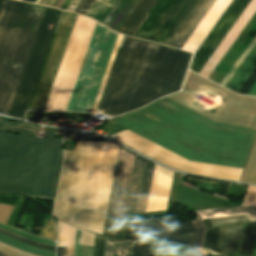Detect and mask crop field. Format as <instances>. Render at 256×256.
Returning a JSON list of instances; mask_svg holds the SVG:
<instances>
[{
	"label": "crop field",
	"mask_w": 256,
	"mask_h": 256,
	"mask_svg": "<svg viewBox=\"0 0 256 256\" xmlns=\"http://www.w3.org/2000/svg\"><path fill=\"white\" fill-rule=\"evenodd\" d=\"M109 121L189 160L241 169L256 134L215 124L165 98Z\"/></svg>",
	"instance_id": "obj_1"
},
{
	"label": "crop field",
	"mask_w": 256,
	"mask_h": 256,
	"mask_svg": "<svg viewBox=\"0 0 256 256\" xmlns=\"http://www.w3.org/2000/svg\"><path fill=\"white\" fill-rule=\"evenodd\" d=\"M190 56L125 36L99 109L119 115L177 92Z\"/></svg>",
	"instance_id": "obj_2"
},
{
	"label": "crop field",
	"mask_w": 256,
	"mask_h": 256,
	"mask_svg": "<svg viewBox=\"0 0 256 256\" xmlns=\"http://www.w3.org/2000/svg\"><path fill=\"white\" fill-rule=\"evenodd\" d=\"M37 125L0 121V130L32 136ZM61 155L60 138L47 130L45 139L0 131V193L53 198Z\"/></svg>",
	"instance_id": "obj_3"
},
{
	"label": "crop field",
	"mask_w": 256,
	"mask_h": 256,
	"mask_svg": "<svg viewBox=\"0 0 256 256\" xmlns=\"http://www.w3.org/2000/svg\"><path fill=\"white\" fill-rule=\"evenodd\" d=\"M44 8L3 0L0 9V113L8 114Z\"/></svg>",
	"instance_id": "obj_4"
},
{
	"label": "crop field",
	"mask_w": 256,
	"mask_h": 256,
	"mask_svg": "<svg viewBox=\"0 0 256 256\" xmlns=\"http://www.w3.org/2000/svg\"><path fill=\"white\" fill-rule=\"evenodd\" d=\"M134 153L121 147L103 235L118 236ZM146 160L135 155L119 236L125 213H135ZM156 165L147 161L136 213L146 212Z\"/></svg>",
	"instance_id": "obj_5"
},
{
	"label": "crop field",
	"mask_w": 256,
	"mask_h": 256,
	"mask_svg": "<svg viewBox=\"0 0 256 256\" xmlns=\"http://www.w3.org/2000/svg\"><path fill=\"white\" fill-rule=\"evenodd\" d=\"M95 23L77 16L44 111H65Z\"/></svg>",
	"instance_id": "obj_6"
},
{
	"label": "crop field",
	"mask_w": 256,
	"mask_h": 256,
	"mask_svg": "<svg viewBox=\"0 0 256 256\" xmlns=\"http://www.w3.org/2000/svg\"><path fill=\"white\" fill-rule=\"evenodd\" d=\"M112 138L131 147L132 149L180 171L238 181L243 170L188 161L128 130L117 133Z\"/></svg>",
	"instance_id": "obj_7"
},
{
	"label": "crop field",
	"mask_w": 256,
	"mask_h": 256,
	"mask_svg": "<svg viewBox=\"0 0 256 256\" xmlns=\"http://www.w3.org/2000/svg\"><path fill=\"white\" fill-rule=\"evenodd\" d=\"M60 12L59 10L45 8L8 115L22 116L25 109L28 108ZM52 14H56V16L52 27H50L48 24Z\"/></svg>",
	"instance_id": "obj_8"
},
{
	"label": "crop field",
	"mask_w": 256,
	"mask_h": 256,
	"mask_svg": "<svg viewBox=\"0 0 256 256\" xmlns=\"http://www.w3.org/2000/svg\"><path fill=\"white\" fill-rule=\"evenodd\" d=\"M198 0H159L134 37L167 45Z\"/></svg>",
	"instance_id": "obj_9"
},
{
	"label": "crop field",
	"mask_w": 256,
	"mask_h": 256,
	"mask_svg": "<svg viewBox=\"0 0 256 256\" xmlns=\"http://www.w3.org/2000/svg\"><path fill=\"white\" fill-rule=\"evenodd\" d=\"M194 229L192 222L130 226L125 239H133L136 256H148L150 240H167L190 245Z\"/></svg>",
	"instance_id": "obj_10"
},
{
	"label": "crop field",
	"mask_w": 256,
	"mask_h": 256,
	"mask_svg": "<svg viewBox=\"0 0 256 256\" xmlns=\"http://www.w3.org/2000/svg\"><path fill=\"white\" fill-rule=\"evenodd\" d=\"M76 16L75 14L63 13L30 109L44 110Z\"/></svg>",
	"instance_id": "obj_11"
},
{
	"label": "crop field",
	"mask_w": 256,
	"mask_h": 256,
	"mask_svg": "<svg viewBox=\"0 0 256 256\" xmlns=\"http://www.w3.org/2000/svg\"><path fill=\"white\" fill-rule=\"evenodd\" d=\"M118 35V33L104 28L75 112L92 111Z\"/></svg>",
	"instance_id": "obj_12"
},
{
	"label": "crop field",
	"mask_w": 256,
	"mask_h": 256,
	"mask_svg": "<svg viewBox=\"0 0 256 256\" xmlns=\"http://www.w3.org/2000/svg\"><path fill=\"white\" fill-rule=\"evenodd\" d=\"M250 0H236L195 56L190 68L198 73ZM250 3V2H249ZM242 14V13H241ZM237 21V20H236ZM229 32V31H228ZM224 39V38H223ZM221 43V42H220ZM216 50V49H215ZM213 54V53H212ZM211 57V56H210ZM208 61V60H207ZM206 64V63H205ZM203 68V67H202ZM200 72V71H199Z\"/></svg>",
	"instance_id": "obj_13"
},
{
	"label": "crop field",
	"mask_w": 256,
	"mask_h": 256,
	"mask_svg": "<svg viewBox=\"0 0 256 256\" xmlns=\"http://www.w3.org/2000/svg\"><path fill=\"white\" fill-rule=\"evenodd\" d=\"M246 214L250 221H256V207H238L226 209H209L196 212L197 219L218 218ZM195 235L190 247L189 256H206L207 251L201 250L205 229L202 220L192 221Z\"/></svg>",
	"instance_id": "obj_14"
},
{
	"label": "crop field",
	"mask_w": 256,
	"mask_h": 256,
	"mask_svg": "<svg viewBox=\"0 0 256 256\" xmlns=\"http://www.w3.org/2000/svg\"><path fill=\"white\" fill-rule=\"evenodd\" d=\"M214 2L215 0H199L179 30L168 43V46L181 49Z\"/></svg>",
	"instance_id": "obj_15"
},
{
	"label": "crop field",
	"mask_w": 256,
	"mask_h": 256,
	"mask_svg": "<svg viewBox=\"0 0 256 256\" xmlns=\"http://www.w3.org/2000/svg\"><path fill=\"white\" fill-rule=\"evenodd\" d=\"M103 28L104 27L101 26L100 24H98V23L96 24L94 33L92 35V38H91L86 56L84 58L79 76L77 78V81H76V84H75V87H74V90H73V93H72V96H71V99L69 101V104H68V107H67L66 111H72V112L75 111L77 102L79 100V97H80L84 82L86 80V77H87L92 59L94 57L99 39L101 37Z\"/></svg>",
	"instance_id": "obj_16"
},
{
	"label": "crop field",
	"mask_w": 256,
	"mask_h": 256,
	"mask_svg": "<svg viewBox=\"0 0 256 256\" xmlns=\"http://www.w3.org/2000/svg\"><path fill=\"white\" fill-rule=\"evenodd\" d=\"M156 1L157 0H139L121 27L118 29V32L132 36Z\"/></svg>",
	"instance_id": "obj_17"
},
{
	"label": "crop field",
	"mask_w": 256,
	"mask_h": 256,
	"mask_svg": "<svg viewBox=\"0 0 256 256\" xmlns=\"http://www.w3.org/2000/svg\"><path fill=\"white\" fill-rule=\"evenodd\" d=\"M241 225L220 227L218 235L217 253L234 255Z\"/></svg>",
	"instance_id": "obj_18"
},
{
	"label": "crop field",
	"mask_w": 256,
	"mask_h": 256,
	"mask_svg": "<svg viewBox=\"0 0 256 256\" xmlns=\"http://www.w3.org/2000/svg\"><path fill=\"white\" fill-rule=\"evenodd\" d=\"M138 0H119L102 24L117 31Z\"/></svg>",
	"instance_id": "obj_19"
},
{
	"label": "crop field",
	"mask_w": 256,
	"mask_h": 256,
	"mask_svg": "<svg viewBox=\"0 0 256 256\" xmlns=\"http://www.w3.org/2000/svg\"><path fill=\"white\" fill-rule=\"evenodd\" d=\"M255 66H256V47L253 49L251 54L248 56L246 61L240 67V69L235 74V76L233 77V79L230 81V83L227 85L226 88L237 93V91L240 89L242 84L248 78V76L253 71Z\"/></svg>",
	"instance_id": "obj_20"
},
{
	"label": "crop field",
	"mask_w": 256,
	"mask_h": 256,
	"mask_svg": "<svg viewBox=\"0 0 256 256\" xmlns=\"http://www.w3.org/2000/svg\"><path fill=\"white\" fill-rule=\"evenodd\" d=\"M0 242L10 245L17 249H21V250L39 255V256H55V252L53 251H46V250L35 248L33 246L27 245L25 243L12 239L3 234H0Z\"/></svg>",
	"instance_id": "obj_21"
},
{
	"label": "crop field",
	"mask_w": 256,
	"mask_h": 256,
	"mask_svg": "<svg viewBox=\"0 0 256 256\" xmlns=\"http://www.w3.org/2000/svg\"><path fill=\"white\" fill-rule=\"evenodd\" d=\"M256 238V222L247 224L246 232L243 238L240 255L251 256L254 241Z\"/></svg>",
	"instance_id": "obj_22"
},
{
	"label": "crop field",
	"mask_w": 256,
	"mask_h": 256,
	"mask_svg": "<svg viewBox=\"0 0 256 256\" xmlns=\"http://www.w3.org/2000/svg\"><path fill=\"white\" fill-rule=\"evenodd\" d=\"M71 1L72 0H65L60 8L66 10ZM94 1L95 0H73L70 6L67 8V11H73L86 15Z\"/></svg>",
	"instance_id": "obj_23"
},
{
	"label": "crop field",
	"mask_w": 256,
	"mask_h": 256,
	"mask_svg": "<svg viewBox=\"0 0 256 256\" xmlns=\"http://www.w3.org/2000/svg\"><path fill=\"white\" fill-rule=\"evenodd\" d=\"M110 5L113 6V4L116 2V0H102ZM111 6L97 0L95 4L92 6L90 11L87 13V16H90L98 21L101 22V20L104 18V16L107 14V12L110 10Z\"/></svg>",
	"instance_id": "obj_24"
},
{
	"label": "crop field",
	"mask_w": 256,
	"mask_h": 256,
	"mask_svg": "<svg viewBox=\"0 0 256 256\" xmlns=\"http://www.w3.org/2000/svg\"><path fill=\"white\" fill-rule=\"evenodd\" d=\"M218 229H219V227L206 229V235L204 237L202 249L210 250L213 252L215 251L216 243H217ZM207 256H219V255L208 253Z\"/></svg>",
	"instance_id": "obj_25"
},
{
	"label": "crop field",
	"mask_w": 256,
	"mask_h": 256,
	"mask_svg": "<svg viewBox=\"0 0 256 256\" xmlns=\"http://www.w3.org/2000/svg\"><path fill=\"white\" fill-rule=\"evenodd\" d=\"M81 231L77 229L74 256H92L94 245H79Z\"/></svg>",
	"instance_id": "obj_26"
},
{
	"label": "crop field",
	"mask_w": 256,
	"mask_h": 256,
	"mask_svg": "<svg viewBox=\"0 0 256 256\" xmlns=\"http://www.w3.org/2000/svg\"><path fill=\"white\" fill-rule=\"evenodd\" d=\"M211 221H212L213 227H216V226L226 225V224H237V223L249 222V219L246 217V215H242V216L211 219Z\"/></svg>",
	"instance_id": "obj_27"
},
{
	"label": "crop field",
	"mask_w": 256,
	"mask_h": 256,
	"mask_svg": "<svg viewBox=\"0 0 256 256\" xmlns=\"http://www.w3.org/2000/svg\"><path fill=\"white\" fill-rule=\"evenodd\" d=\"M0 228H2L4 230H7L9 232H12L14 234H17L19 236L25 237L27 239L34 240V241L41 242V243H44V244H47V245L55 247V242H53V241H50V240H47V239H43V238H40V237H37V236H33V235H30V234L21 232L19 230H15V229L9 228V227L1 225V224H0Z\"/></svg>",
	"instance_id": "obj_28"
},
{
	"label": "crop field",
	"mask_w": 256,
	"mask_h": 256,
	"mask_svg": "<svg viewBox=\"0 0 256 256\" xmlns=\"http://www.w3.org/2000/svg\"><path fill=\"white\" fill-rule=\"evenodd\" d=\"M169 242L166 241H151L150 256L158 254H168Z\"/></svg>",
	"instance_id": "obj_29"
},
{
	"label": "crop field",
	"mask_w": 256,
	"mask_h": 256,
	"mask_svg": "<svg viewBox=\"0 0 256 256\" xmlns=\"http://www.w3.org/2000/svg\"><path fill=\"white\" fill-rule=\"evenodd\" d=\"M39 236L55 240V228L51 220L44 218Z\"/></svg>",
	"instance_id": "obj_30"
},
{
	"label": "crop field",
	"mask_w": 256,
	"mask_h": 256,
	"mask_svg": "<svg viewBox=\"0 0 256 256\" xmlns=\"http://www.w3.org/2000/svg\"><path fill=\"white\" fill-rule=\"evenodd\" d=\"M115 241H118V242H126V243H129V240H119V239H115ZM118 242H115L116 244L120 245V246H123L129 250H131V243L132 241H130V244H126V243H118ZM114 245V253H113V256H130V251L125 249V248H122L118 245Z\"/></svg>",
	"instance_id": "obj_31"
},
{
	"label": "crop field",
	"mask_w": 256,
	"mask_h": 256,
	"mask_svg": "<svg viewBox=\"0 0 256 256\" xmlns=\"http://www.w3.org/2000/svg\"><path fill=\"white\" fill-rule=\"evenodd\" d=\"M190 246L170 242L169 256H187Z\"/></svg>",
	"instance_id": "obj_32"
},
{
	"label": "crop field",
	"mask_w": 256,
	"mask_h": 256,
	"mask_svg": "<svg viewBox=\"0 0 256 256\" xmlns=\"http://www.w3.org/2000/svg\"><path fill=\"white\" fill-rule=\"evenodd\" d=\"M0 233H3V234H5V235H8V236H10V237H12V238H15V239H17V240H20V241H22V242L28 243V244H30V245L36 246V247H38V248H42V249H46V250H54V251H55V248H53V247H50V246H47V245H44V244H41V243H37V242H34V241H30V240L24 239V238H22V237H19V236H17V235H14V234L9 233V232H7V231H4V230H2V229H0Z\"/></svg>",
	"instance_id": "obj_33"
},
{
	"label": "crop field",
	"mask_w": 256,
	"mask_h": 256,
	"mask_svg": "<svg viewBox=\"0 0 256 256\" xmlns=\"http://www.w3.org/2000/svg\"><path fill=\"white\" fill-rule=\"evenodd\" d=\"M242 206H256V187H248Z\"/></svg>",
	"instance_id": "obj_34"
},
{
	"label": "crop field",
	"mask_w": 256,
	"mask_h": 256,
	"mask_svg": "<svg viewBox=\"0 0 256 256\" xmlns=\"http://www.w3.org/2000/svg\"><path fill=\"white\" fill-rule=\"evenodd\" d=\"M0 251H2L4 253H7L11 256H36V255L30 254V253H27V252H24V251L14 249V248L9 247V246H7L5 244H2V243H0Z\"/></svg>",
	"instance_id": "obj_35"
},
{
	"label": "crop field",
	"mask_w": 256,
	"mask_h": 256,
	"mask_svg": "<svg viewBox=\"0 0 256 256\" xmlns=\"http://www.w3.org/2000/svg\"><path fill=\"white\" fill-rule=\"evenodd\" d=\"M255 81H256V68H255L254 71L251 73V75H250L249 78L246 80V82L243 84V86H242L241 89L238 91V93H239V94L246 95V93L249 91V89L251 88V86L254 84Z\"/></svg>",
	"instance_id": "obj_36"
},
{
	"label": "crop field",
	"mask_w": 256,
	"mask_h": 256,
	"mask_svg": "<svg viewBox=\"0 0 256 256\" xmlns=\"http://www.w3.org/2000/svg\"><path fill=\"white\" fill-rule=\"evenodd\" d=\"M102 237L105 238V236H102ZM104 241H105V239L96 235L95 247H94V256H103Z\"/></svg>",
	"instance_id": "obj_37"
},
{
	"label": "crop field",
	"mask_w": 256,
	"mask_h": 256,
	"mask_svg": "<svg viewBox=\"0 0 256 256\" xmlns=\"http://www.w3.org/2000/svg\"><path fill=\"white\" fill-rule=\"evenodd\" d=\"M108 239L114 241V239H112V238H108ZM112 242L106 240L104 256H112V252H113V243Z\"/></svg>",
	"instance_id": "obj_38"
},
{
	"label": "crop field",
	"mask_w": 256,
	"mask_h": 256,
	"mask_svg": "<svg viewBox=\"0 0 256 256\" xmlns=\"http://www.w3.org/2000/svg\"><path fill=\"white\" fill-rule=\"evenodd\" d=\"M57 256H66V248L57 247Z\"/></svg>",
	"instance_id": "obj_39"
},
{
	"label": "crop field",
	"mask_w": 256,
	"mask_h": 256,
	"mask_svg": "<svg viewBox=\"0 0 256 256\" xmlns=\"http://www.w3.org/2000/svg\"><path fill=\"white\" fill-rule=\"evenodd\" d=\"M247 95H249V96H256V82H255V84L252 86V88L250 89V91L247 93Z\"/></svg>",
	"instance_id": "obj_40"
},
{
	"label": "crop field",
	"mask_w": 256,
	"mask_h": 256,
	"mask_svg": "<svg viewBox=\"0 0 256 256\" xmlns=\"http://www.w3.org/2000/svg\"><path fill=\"white\" fill-rule=\"evenodd\" d=\"M203 222H204L205 228L212 227L210 219H208V220H203Z\"/></svg>",
	"instance_id": "obj_41"
},
{
	"label": "crop field",
	"mask_w": 256,
	"mask_h": 256,
	"mask_svg": "<svg viewBox=\"0 0 256 256\" xmlns=\"http://www.w3.org/2000/svg\"><path fill=\"white\" fill-rule=\"evenodd\" d=\"M252 256H256V242H255V246H254V250H253Z\"/></svg>",
	"instance_id": "obj_42"
},
{
	"label": "crop field",
	"mask_w": 256,
	"mask_h": 256,
	"mask_svg": "<svg viewBox=\"0 0 256 256\" xmlns=\"http://www.w3.org/2000/svg\"><path fill=\"white\" fill-rule=\"evenodd\" d=\"M0 256H9V255L0 252Z\"/></svg>",
	"instance_id": "obj_43"
},
{
	"label": "crop field",
	"mask_w": 256,
	"mask_h": 256,
	"mask_svg": "<svg viewBox=\"0 0 256 256\" xmlns=\"http://www.w3.org/2000/svg\"><path fill=\"white\" fill-rule=\"evenodd\" d=\"M23 1H29V2H35L36 0H23Z\"/></svg>",
	"instance_id": "obj_44"
},
{
	"label": "crop field",
	"mask_w": 256,
	"mask_h": 256,
	"mask_svg": "<svg viewBox=\"0 0 256 256\" xmlns=\"http://www.w3.org/2000/svg\"><path fill=\"white\" fill-rule=\"evenodd\" d=\"M2 0H0V6H1Z\"/></svg>",
	"instance_id": "obj_45"
},
{
	"label": "crop field",
	"mask_w": 256,
	"mask_h": 256,
	"mask_svg": "<svg viewBox=\"0 0 256 256\" xmlns=\"http://www.w3.org/2000/svg\"><path fill=\"white\" fill-rule=\"evenodd\" d=\"M131 256H135V255L133 254V252H132Z\"/></svg>",
	"instance_id": "obj_46"
},
{
	"label": "crop field",
	"mask_w": 256,
	"mask_h": 256,
	"mask_svg": "<svg viewBox=\"0 0 256 256\" xmlns=\"http://www.w3.org/2000/svg\"><path fill=\"white\" fill-rule=\"evenodd\" d=\"M0 197H1V195H0Z\"/></svg>",
	"instance_id": "obj_47"
}]
</instances>
